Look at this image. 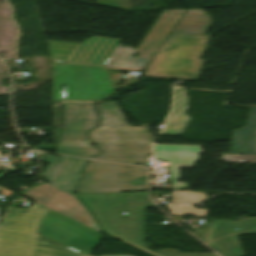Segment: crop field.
Listing matches in <instances>:
<instances>
[{
	"instance_id": "8a807250",
	"label": "crop field",
	"mask_w": 256,
	"mask_h": 256,
	"mask_svg": "<svg viewBox=\"0 0 256 256\" xmlns=\"http://www.w3.org/2000/svg\"><path fill=\"white\" fill-rule=\"evenodd\" d=\"M94 214L104 233L152 256H216L148 250L145 243L147 192L77 195Z\"/></svg>"
},
{
	"instance_id": "ac0d7876",
	"label": "crop field",
	"mask_w": 256,
	"mask_h": 256,
	"mask_svg": "<svg viewBox=\"0 0 256 256\" xmlns=\"http://www.w3.org/2000/svg\"><path fill=\"white\" fill-rule=\"evenodd\" d=\"M99 128L89 137L102 150L98 159L148 166L152 154L148 127H123L124 120L116 102L98 104Z\"/></svg>"
},
{
	"instance_id": "34b2d1b8",
	"label": "crop field",
	"mask_w": 256,
	"mask_h": 256,
	"mask_svg": "<svg viewBox=\"0 0 256 256\" xmlns=\"http://www.w3.org/2000/svg\"><path fill=\"white\" fill-rule=\"evenodd\" d=\"M48 210L35 202L29 209L10 207L0 225V256H84L36 234Z\"/></svg>"
},
{
	"instance_id": "412701ff",
	"label": "crop field",
	"mask_w": 256,
	"mask_h": 256,
	"mask_svg": "<svg viewBox=\"0 0 256 256\" xmlns=\"http://www.w3.org/2000/svg\"><path fill=\"white\" fill-rule=\"evenodd\" d=\"M210 38L207 35L170 33L152 57L143 76L196 81Z\"/></svg>"
},
{
	"instance_id": "f4fd0767",
	"label": "crop field",
	"mask_w": 256,
	"mask_h": 256,
	"mask_svg": "<svg viewBox=\"0 0 256 256\" xmlns=\"http://www.w3.org/2000/svg\"><path fill=\"white\" fill-rule=\"evenodd\" d=\"M112 92L113 85L103 66L53 62L54 100L100 101Z\"/></svg>"
},
{
	"instance_id": "dd49c442",
	"label": "crop field",
	"mask_w": 256,
	"mask_h": 256,
	"mask_svg": "<svg viewBox=\"0 0 256 256\" xmlns=\"http://www.w3.org/2000/svg\"><path fill=\"white\" fill-rule=\"evenodd\" d=\"M144 168L90 161L76 194L147 190Z\"/></svg>"
},
{
	"instance_id": "e52e79f7",
	"label": "crop field",
	"mask_w": 256,
	"mask_h": 256,
	"mask_svg": "<svg viewBox=\"0 0 256 256\" xmlns=\"http://www.w3.org/2000/svg\"><path fill=\"white\" fill-rule=\"evenodd\" d=\"M65 128L57 153L92 157L99 153L91 148L93 143L87 139L90 129L96 127L95 103H64Z\"/></svg>"
},
{
	"instance_id": "d8731c3e",
	"label": "crop field",
	"mask_w": 256,
	"mask_h": 256,
	"mask_svg": "<svg viewBox=\"0 0 256 256\" xmlns=\"http://www.w3.org/2000/svg\"><path fill=\"white\" fill-rule=\"evenodd\" d=\"M37 233L80 254L90 255L101 235L51 210L38 223Z\"/></svg>"
},
{
	"instance_id": "5a996713",
	"label": "crop field",
	"mask_w": 256,
	"mask_h": 256,
	"mask_svg": "<svg viewBox=\"0 0 256 256\" xmlns=\"http://www.w3.org/2000/svg\"><path fill=\"white\" fill-rule=\"evenodd\" d=\"M183 11L184 10L164 11L161 14L151 31L138 47L137 51L140 53L138 57H132L136 53V50L127 45L125 48L122 47L123 45H119L104 67L143 71V69H139L140 66L145 67L147 65L151 55L154 53L156 48L162 42ZM144 41L147 42L144 43Z\"/></svg>"
},
{
	"instance_id": "3316defc",
	"label": "crop field",
	"mask_w": 256,
	"mask_h": 256,
	"mask_svg": "<svg viewBox=\"0 0 256 256\" xmlns=\"http://www.w3.org/2000/svg\"><path fill=\"white\" fill-rule=\"evenodd\" d=\"M22 195L59 214L86 225L96 231H100L95 224L93 217L73 194L45 183L27 190Z\"/></svg>"
},
{
	"instance_id": "28ad6ade",
	"label": "crop field",
	"mask_w": 256,
	"mask_h": 256,
	"mask_svg": "<svg viewBox=\"0 0 256 256\" xmlns=\"http://www.w3.org/2000/svg\"><path fill=\"white\" fill-rule=\"evenodd\" d=\"M240 234H256V217L237 221L211 219L206 243L222 256H245Z\"/></svg>"
},
{
	"instance_id": "d1516ede",
	"label": "crop field",
	"mask_w": 256,
	"mask_h": 256,
	"mask_svg": "<svg viewBox=\"0 0 256 256\" xmlns=\"http://www.w3.org/2000/svg\"><path fill=\"white\" fill-rule=\"evenodd\" d=\"M40 160L49 164L42 176L53 186L74 192L75 185L87 160L61 156L55 157L40 154Z\"/></svg>"
},
{
	"instance_id": "22f410ed",
	"label": "crop field",
	"mask_w": 256,
	"mask_h": 256,
	"mask_svg": "<svg viewBox=\"0 0 256 256\" xmlns=\"http://www.w3.org/2000/svg\"><path fill=\"white\" fill-rule=\"evenodd\" d=\"M155 158L167 159L172 181L179 180L178 168H192L198 160L199 147L154 146Z\"/></svg>"
},
{
	"instance_id": "cbeb9de0",
	"label": "crop field",
	"mask_w": 256,
	"mask_h": 256,
	"mask_svg": "<svg viewBox=\"0 0 256 256\" xmlns=\"http://www.w3.org/2000/svg\"><path fill=\"white\" fill-rule=\"evenodd\" d=\"M231 153L256 154V107L252 106L246 127L233 131Z\"/></svg>"
},
{
	"instance_id": "5142ce71",
	"label": "crop field",
	"mask_w": 256,
	"mask_h": 256,
	"mask_svg": "<svg viewBox=\"0 0 256 256\" xmlns=\"http://www.w3.org/2000/svg\"><path fill=\"white\" fill-rule=\"evenodd\" d=\"M187 100L188 96H185V89H176L174 109L161 135H180L189 120L187 115H183L186 110Z\"/></svg>"
},
{
	"instance_id": "d9b57169",
	"label": "crop field",
	"mask_w": 256,
	"mask_h": 256,
	"mask_svg": "<svg viewBox=\"0 0 256 256\" xmlns=\"http://www.w3.org/2000/svg\"><path fill=\"white\" fill-rule=\"evenodd\" d=\"M202 9H189L172 30L173 33L206 34L211 25L210 16ZM198 14H202L199 16ZM205 20L206 22H200Z\"/></svg>"
},
{
	"instance_id": "733c2abd",
	"label": "crop field",
	"mask_w": 256,
	"mask_h": 256,
	"mask_svg": "<svg viewBox=\"0 0 256 256\" xmlns=\"http://www.w3.org/2000/svg\"><path fill=\"white\" fill-rule=\"evenodd\" d=\"M222 160L228 162H256V155H222Z\"/></svg>"
},
{
	"instance_id": "4a817a6b",
	"label": "crop field",
	"mask_w": 256,
	"mask_h": 256,
	"mask_svg": "<svg viewBox=\"0 0 256 256\" xmlns=\"http://www.w3.org/2000/svg\"><path fill=\"white\" fill-rule=\"evenodd\" d=\"M174 189H188L185 183H172Z\"/></svg>"
},
{
	"instance_id": "bc2a9ffb",
	"label": "crop field",
	"mask_w": 256,
	"mask_h": 256,
	"mask_svg": "<svg viewBox=\"0 0 256 256\" xmlns=\"http://www.w3.org/2000/svg\"><path fill=\"white\" fill-rule=\"evenodd\" d=\"M0 189H2V193H1L2 196H13V194H14V192L4 189L2 187H0Z\"/></svg>"
}]
</instances>
